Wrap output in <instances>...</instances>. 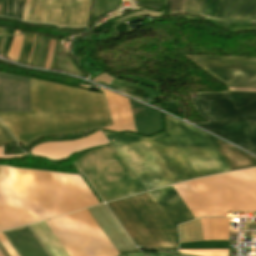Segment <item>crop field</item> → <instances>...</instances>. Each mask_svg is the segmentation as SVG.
Instances as JSON below:
<instances>
[{"label":"crop field","instance_id":"obj_16","mask_svg":"<svg viewBox=\"0 0 256 256\" xmlns=\"http://www.w3.org/2000/svg\"><path fill=\"white\" fill-rule=\"evenodd\" d=\"M230 219H209L210 240H228Z\"/></svg>","mask_w":256,"mask_h":256},{"label":"crop field","instance_id":"obj_15","mask_svg":"<svg viewBox=\"0 0 256 256\" xmlns=\"http://www.w3.org/2000/svg\"><path fill=\"white\" fill-rule=\"evenodd\" d=\"M180 243L203 240L199 219L178 226Z\"/></svg>","mask_w":256,"mask_h":256},{"label":"crop field","instance_id":"obj_7","mask_svg":"<svg viewBox=\"0 0 256 256\" xmlns=\"http://www.w3.org/2000/svg\"><path fill=\"white\" fill-rule=\"evenodd\" d=\"M91 0H31L27 21L85 26Z\"/></svg>","mask_w":256,"mask_h":256},{"label":"crop field","instance_id":"obj_9","mask_svg":"<svg viewBox=\"0 0 256 256\" xmlns=\"http://www.w3.org/2000/svg\"><path fill=\"white\" fill-rule=\"evenodd\" d=\"M109 143L101 131L88 137L68 142H47L32 149L31 153L51 159H65L72 154L92 146Z\"/></svg>","mask_w":256,"mask_h":256},{"label":"crop field","instance_id":"obj_24","mask_svg":"<svg viewBox=\"0 0 256 256\" xmlns=\"http://www.w3.org/2000/svg\"><path fill=\"white\" fill-rule=\"evenodd\" d=\"M12 37L13 36H10V37L7 38L6 43L4 45V48L2 50V54L5 55V56L7 55L8 51H9L10 44H11V41H12Z\"/></svg>","mask_w":256,"mask_h":256},{"label":"crop field","instance_id":"obj_20","mask_svg":"<svg viewBox=\"0 0 256 256\" xmlns=\"http://www.w3.org/2000/svg\"><path fill=\"white\" fill-rule=\"evenodd\" d=\"M11 142H14V141L11 139V137L8 135V133L0 124V144H6Z\"/></svg>","mask_w":256,"mask_h":256},{"label":"crop field","instance_id":"obj_6","mask_svg":"<svg viewBox=\"0 0 256 256\" xmlns=\"http://www.w3.org/2000/svg\"><path fill=\"white\" fill-rule=\"evenodd\" d=\"M73 164L105 202L144 192L111 145L92 150Z\"/></svg>","mask_w":256,"mask_h":256},{"label":"crop field","instance_id":"obj_8","mask_svg":"<svg viewBox=\"0 0 256 256\" xmlns=\"http://www.w3.org/2000/svg\"><path fill=\"white\" fill-rule=\"evenodd\" d=\"M201 17L230 22H256V0H202Z\"/></svg>","mask_w":256,"mask_h":256},{"label":"crop field","instance_id":"obj_23","mask_svg":"<svg viewBox=\"0 0 256 256\" xmlns=\"http://www.w3.org/2000/svg\"><path fill=\"white\" fill-rule=\"evenodd\" d=\"M113 78L109 77L106 74H101L100 76L96 77L95 79H93V81H101V82H106L107 84H110V82L112 81Z\"/></svg>","mask_w":256,"mask_h":256},{"label":"crop field","instance_id":"obj_29","mask_svg":"<svg viewBox=\"0 0 256 256\" xmlns=\"http://www.w3.org/2000/svg\"><path fill=\"white\" fill-rule=\"evenodd\" d=\"M41 38H42V37L40 36V37H39V41H38V45H37V49H36V53H35V57H34V61H33V65H35V61H36L37 53H38V50H39Z\"/></svg>","mask_w":256,"mask_h":256},{"label":"crop field","instance_id":"obj_28","mask_svg":"<svg viewBox=\"0 0 256 256\" xmlns=\"http://www.w3.org/2000/svg\"><path fill=\"white\" fill-rule=\"evenodd\" d=\"M149 256H162V255H165V256H177V254H174V253H167V252H161V251H158L157 255H151V254H148Z\"/></svg>","mask_w":256,"mask_h":256},{"label":"crop field","instance_id":"obj_11","mask_svg":"<svg viewBox=\"0 0 256 256\" xmlns=\"http://www.w3.org/2000/svg\"><path fill=\"white\" fill-rule=\"evenodd\" d=\"M103 91L107 97L113 122V126L103 129L112 131L132 130L136 132L128 99L106 89H103Z\"/></svg>","mask_w":256,"mask_h":256},{"label":"crop field","instance_id":"obj_38","mask_svg":"<svg viewBox=\"0 0 256 256\" xmlns=\"http://www.w3.org/2000/svg\"><path fill=\"white\" fill-rule=\"evenodd\" d=\"M178 256H182V255H178Z\"/></svg>","mask_w":256,"mask_h":256},{"label":"crop field","instance_id":"obj_25","mask_svg":"<svg viewBox=\"0 0 256 256\" xmlns=\"http://www.w3.org/2000/svg\"><path fill=\"white\" fill-rule=\"evenodd\" d=\"M29 5H30V0H26L25 8H24V13H23V17H22V20H24V21H26V19H27Z\"/></svg>","mask_w":256,"mask_h":256},{"label":"crop field","instance_id":"obj_10","mask_svg":"<svg viewBox=\"0 0 256 256\" xmlns=\"http://www.w3.org/2000/svg\"><path fill=\"white\" fill-rule=\"evenodd\" d=\"M149 194L176 231L177 224L194 219L172 186L150 191Z\"/></svg>","mask_w":256,"mask_h":256},{"label":"crop field","instance_id":"obj_36","mask_svg":"<svg viewBox=\"0 0 256 256\" xmlns=\"http://www.w3.org/2000/svg\"><path fill=\"white\" fill-rule=\"evenodd\" d=\"M35 36H36V35H35ZM35 36H34V40H35ZM34 40H33V44H34ZM32 49H33V46H32ZM31 53H32V51H31ZM30 57H31V56H30ZM28 64H29V62H28ZM28 64H27V65H28Z\"/></svg>","mask_w":256,"mask_h":256},{"label":"crop field","instance_id":"obj_18","mask_svg":"<svg viewBox=\"0 0 256 256\" xmlns=\"http://www.w3.org/2000/svg\"><path fill=\"white\" fill-rule=\"evenodd\" d=\"M32 39H33V35H27L26 36L22 56H21V59L19 61L20 63H22L24 65L27 64V61L29 59L30 49H31V45H32Z\"/></svg>","mask_w":256,"mask_h":256},{"label":"crop field","instance_id":"obj_21","mask_svg":"<svg viewBox=\"0 0 256 256\" xmlns=\"http://www.w3.org/2000/svg\"><path fill=\"white\" fill-rule=\"evenodd\" d=\"M204 240H209L208 218L200 219Z\"/></svg>","mask_w":256,"mask_h":256},{"label":"crop field","instance_id":"obj_37","mask_svg":"<svg viewBox=\"0 0 256 256\" xmlns=\"http://www.w3.org/2000/svg\"><path fill=\"white\" fill-rule=\"evenodd\" d=\"M0 256H2V254L0 253Z\"/></svg>","mask_w":256,"mask_h":256},{"label":"crop field","instance_id":"obj_1","mask_svg":"<svg viewBox=\"0 0 256 256\" xmlns=\"http://www.w3.org/2000/svg\"><path fill=\"white\" fill-rule=\"evenodd\" d=\"M179 121V120H178ZM165 115L166 131L152 138L104 133L147 190L256 166V159Z\"/></svg>","mask_w":256,"mask_h":256},{"label":"crop field","instance_id":"obj_17","mask_svg":"<svg viewBox=\"0 0 256 256\" xmlns=\"http://www.w3.org/2000/svg\"><path fill=\"white\" fill-rule=\"evenodd\" d=\"M201 0H187L184 14L198 16Z\"/></svg>","mask_w":256,"mask_h":256},{"label":"crop field","instance_id":"obj_19","mask_svg":"<svg viewBox=\"0 0 256 256\" xmlns=\"http://www.w3.org/2000/svg\"><path fill=\"white\" fill-rule=\"evenodd\" d=\"M186 0H172L169 15L183 14Z\"/></svg>","mask_w":256,"mask_h":256},{"label":"crop field","instance_id":"obj_27","mask_svg":"<svg viewBox=\"0 0 256 256\" xmlns=\"http://www.w3.org/2000/svg\"><path fill=\"white\" fill-rule=\"evenodd\" d=\"M26 155V154H24ZM24 155H10V156H4L3 153V147H0V158H12V157H22Z\"/></svg>","mask_w":256,"mask_h":256},{"label":"crop field","instance_id":"obj_22","mask_svg":"<svg viewBox=\"0 0 256 256\" xmlns=\"http://www.w3.org/2000/svg\"><path fill=\"white\" fill-rule=\"evenodd\" d=\"M54 40H51L49 50H48V55H47V61H46V69L50 68L51 65V59H52V54H53V48H54Z\"/></svg>","mask_w":256,"mask_h":256},{"label":"crop field","instance_id":"obj_30","mask_svg":"<svg viewBox=\"0 0 256 256\" xmlns=\"http://www.w3.org/2000/svg\"><path fill=\"white\" fill-rule=\"evenodd\" d=\"M134 88H135V87H128V86H127L124 93L130 96V94L132 93V91L134 90Z\"/></svg>","mask_w":256,"mask_h":256},{"label":"crop field","instance_id":"obj_35","mask_svg":"<svg viewBox=\"0 0 256 256\" xmlns=\"http://www.w3.org/2000/svg\"><path fill=\"white\" fill-rule=\"evenodd\" d=\"M3 28H0V35H2L3 34Z\"/></svg>","mask_w":256,"mask_h":256},{"label":"crop field","instance_id":"obj_32","mask_svg":"<svg viewBox=\"0 0 256 256\" xmlns=\"http://www.w3.org/2000/svg\"><path fill=\"white\" fill-rule=\"evenodd\" d=\"M25 36H26V35H24V37H23V42H22V46H21V51H22V47H23L24 40H25ZM20 56H21V52H20ZM20 56H19V58H20ZM18 61H19V59H18ZM18 61H17V62H18Z\"/></svg>","mask_w":256,"mask_h":256},{"label":"crop field","instance_id":"obj_2","mask_svg":"<svg viewBox=\"0 0 256 256\" xmlns=\"http://www.w3.org/2000/svg\"><path fill=\"white\" fill-rule=\"evenodd\" d=\"M17 143L111 125L101 94L31 79V112L0 113Z\"/></svg>","mask_w":256,"mask_h":256},{"label":"crop field","instance_id":"obj_5","mask_svg":"<svg viewBox=\"0 0 256 256\" xmlns=\"http://www.w3.org/2000/svg\"><path fill=\"white\" fill-rule=\"evenodd\" d=\"M106 205L135 245L177 251V233L148 192Z\"/></svg>","mask_w":256,"mask_h":256},{"label":"crop field","instance_id":"obj_33","mask_svg":"<svg viewBox=\"0 0 256 256\" xmlns=\"http://www.w3.org/2000/svg\"><path fill=\"white\" fill-rule=\"evenodd\" d=\"M4 38H5V37L2 38V42H1V45H0V49H1V46H2V44H3ZM6 38H7V37H6ZM6 38H5V40H6ZM4 43H5V41H4ZM3 45H4V44H3ZM2 48H3V46H2ZM1 50H2V49H1Z\"/></svg>","mask_w":256,"mask_h":256},{"label":"crop field","instance_id":"obj_26","mask_svg":"<svg viewBox=\"0 0 256 256\" xmlns=\"http://www.w3.org/2000/svg\"><path fill=\"white\" fill-rule=\"evenodd\" d=\"M57 49H58V41L56 40L51 69L54 68V64H55V60H56V55H57Z\"/></svg>","mask_w":256,"mask_h":256},{"label":"crop field","instance_id":"obj_13","mask_svg":"<svg viewBox=\"0 0 256 256\" xmlns=\"http://www.w3.org/2000/svg\"><path fill=\"white\" fill-rule=\"evenodd\" d=\"M228 87L256 88V71L205 69Z\"/></svg>","mask_w":256,"mask_h":256},{"label":"crop field","instance_id":"obj_12","mask_svg":"<svg viewBox=\"0 0 256 256\" xmlns=\"http://www.w3.org/2000/svg\"><path fill=\"white\" fill-rule=\"evenodd\" d=\"M202 68L256 70V59L186 56Z\"/></svg>","mask_w":256,"mask_h":256},{"label":"crop field","instance_id":"obj_3","mask_svg":"<svg viewBox=\"0 0 256 256\" xmlns=\"http://www.w3.org/2000/svg\"><path fill=\"white\" fill-rule=\"evenodd\" d=\"M173 188L195 218L256 211V168L205 177Z\"/></svg>","mask_w":256,"mask_h":256},{"label":"crop field","instance_id":"obj_34","mask_svg":"<svg viewBox=\"0 0 256 256\" xmlns=\"http://www.w3.org/2000/svg\"><path fill=\"white\" fill-rule=\"evenodd\" d=\"M2 3H3V0H0V13H1V8H2Z\"/></svg>","mask_w":256,"mask_h":256},{"label":"crop field","instance_id":"obj_14","mask_svg":"<svg viewBox=\"0 0 256 256\" xmlns=\"http://www.w3.org/2000/svg\"><path fill=\"white\" fill-rule=\"evenodd\" d=\"M52 256H69L45 222L31 225Z\"/></svg>","mask_w":256,"mask_h":256},{"label":"crop field","instance_id":"obj_31","mask_svg":"<svg viewBox=\"0 0 256 256\" xmlns=\"http://www.w3.org/2000/svg\"><path fill=\"white\" fill-rule=\"evenodd\" d=\"M14 32H15V31H13V30L5 29L3 35H12V34H14Z\"/></svg>","mask_w":256,"mask_h":256},{"label":"crop field","instance_id":"obj_4","mask_svg":"<svg viewBox=\"0 0 256 256\" xmlns=\"http://www.w3.org/2000/svg\"><path fill=\"white\" fill-rule=\"evenodd\" d=\"M194 104L210 123L196 124L256 154V93L199 94Z\"/></svg>","mask_w":256,"mask_h":256}]
</instances>
